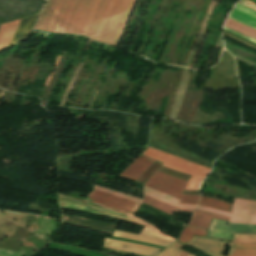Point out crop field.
<instances>
[{"label": "crop field", "instance_id": "obj_19", "mask_svg": "<svg viewBox=\"0 0 256 256\" xmlns=\"http://www.w3.org/2000/svg\"><path fill=\"white\" fill-rule=\"evenodd\" d=\"M199 205L201 206H206V207H210V208H215V209H219V210H224V211H228L230 210V203H226V202H222V201H218V200H214V199H210V198H206V197H202L200 198V203Z\"/></svg>", "mask_w": 256, "mask_h": 256}, {"label": "crop field", "instance_id": "obj_25", "mask_svg": "<svg viewBox=\"0 0 256 256\" xmlns=\"http://www.w3.org/2000/svg\"><path fill=\"white\" fill-rule=\"evenodd\" d=\"M239 2L256 10V4L248 0H240Z\"/></svg>", "mask_w": 256, "mask_h": 256}, {"label": "crop field", "instance_id": "obj_12", "mask_svg": "<svg viewBox=\"0 0 256 256\" xmlns=\"http://www.w3.org/2000/svg\"><path fill=\"white\" fill-rule=\"evenodd\" d=\"M212 218L228 221V217L195 210V212L192 214V220L190 221L189 225L207 229Z\"/></svg>", "mask_w": 256, "mask_h": 256}, {"label": "crop field", "instance_id": "obj_10", "mask_svg": "<svg viewBox=\"0 0 256 256\" xmlns=\"http://www.w3.org/2000/svg\"><path fill=\"white\" fill-rule=\"evenodd\" d=\"M154 162L155 160L140 155L122 174H120V176L136 181Z\"/></svg>", "mask_w": 256, "mask_h": 256}, {"label": "crop field", "instance_id": "obj_5", "mask_svg": "<svg viewBox=\"0 0 256 256\" xmlns=\"http://www.w3.org/2000/svg\"><path fill=\"white\" fill-rule=\"evenodd\" d=\"M45 0H0V23L39 12Z\"/></svg>", "mask_w": 256, "mask_h": 256}, {"label": "crop field", "instance_id": "obj_17", "mask_svg": "<svg viewBox=\"0 0 256 256\" xmlns=\"http://www.w3.org/2000/svg\"><path fill=\"white\" fill-rule=\"evenodd\" d=\"M143 202L148 204V205H151L155 208H158V209H160V210H162V211H164V212H166L170 215L173 212H185V213H191L192 212V210H190V209L176 210V209H174V208H172V207H170V206H168V205H166V204H164L160 201H157V200L152 199L150 197H147L145 195L143 197Z\"/></svg>", "mask_w": 256, "mask_h": 256}, {"label": "crop field", "instance_id": "obj_11", "mask_svg": "<svg viewBox=\"0 0 256 256\" xmlns=\"http://www.w3.org/2000/svg\"><path fill=\"white\" fill-rule=\"evenodd\" d=\"M39 14L23 18L19 24L11 45L28 38ZM10 45V46H11Z\"/></svg>", "mask_w": 256, "mask_h": 256}, {"label": "crop field", "instance_id": "obj_9", "mask_svg": "<svg viewBox=\"0 0 256 256\" xmlns=\"http://www.w3.org/2000/svg\"><path fill=\"white\" fill-rule=\"evenodd\" d=\"M103 246L131 251L139 254L155 256L161 250L135 243L105 238Z\"/></svg>", "mask_w": 256, "mask_h": 256}, {"label": "crop field", "instance_id": "obj_7", "mask_svg": "<svg viewBox=\"0 0 256 256\" xmlns=\"http://www.w3.org/2000/svg\"><path fill=\"white\" fill-rule=\"evenodd\" d=\"M86 199L108 205L132 214H134V212L140 205V203L133 202L95 189L87 196Z\"/></svg>", "mask_w": 256, "mask_h": 256}, {"label": "crop field", "instance_id": "obj_18", "mask_svg": "<svg viewBox=\"0 0 256 256\" xmlns=\"http://www.w3.org/2000/svg\"><path fill=\"white\" fill-rule=\"evenodd\" d=\"M229 18L256 29V18L246 15L235 9L232 10V12L229 15Z\"/></svg>", "mask_w": 256, "mask_h": 256}, {"label": "crop field", "instance_id": "obj_15", "mask_svg": "<svg viewBox=\"0 0 256 256\" xmlns=\"http://www.w3.org/2000/svg\"><path fill=\"white\" fill-rule=\"evenodd\" d=\"M227 256H256V244H232Z\"/></svg>", "mask_w": 256, "mask_h": 256}, {"label": "crop field", "instance_id": "obj_2", "mask_svg": "<svg viewBox=\"0 0 256 256\" xmlns=\"http://www.w3.org/2000/svg\"><path fill=\"white\" fill-rule=\"evenodd\" d=\"M58 196H59L61 207L91 211V212L119 218L122 220H126L129 222L137 223L140 225H144L146 227H144L142 229V231L140 232L141 234H145V235H149V236H153V237H157V238H161V239H166V240H170V241L175 240V239L161 233L160 232L161 229L155 227L154 225H152L148 222H145L143 220L133 217L132 214H129V213L117 210V209H113L110 207L102 206V205H99V204H96V203H93V202H90L87 200L82 201V200L70 198L67 196L59 195V194H58ZM113 236L124 238V239L142 241V242L155 244V245H159V246H163V247H166L169 243H171L170 241L152 238V237H148V236H144V235H140V234H136V233H132V232H127V231H122V230H118V229L115 230Z\"/></svg>", "mask_w": 256, "mask_h": 256}, {"label": "crop field", "instance_id": "obj_6", "mask_svg": "<svg viewBox=\"0 0 256 256\" xmlns=\"http://www.w3.org/2000/svg\"><path fill=\"white\" fill-rule=\"evenodd\" d=\"M198 210L229 216V222L256 224V201L235 199L231 213L198 206Z\"/></svg>", "mask_w": 256, "mask_h": 256}, {"label": "crop field", "instance_id": "obj_28", "mask_svg": "<svg viewBox=\"0 0 256 256\" xmlns=\"http://www.w3.org/2000/svg\"><path fill=\"white\" fill-rule=\"evenodd\" d=\"M188 256H194V255H192V254H190V253H189V255H188Z\"/></svg>", "mask_w": 256, "mask_h": 256}, {"label": "crop field", "instance_id": "obj_27", "mask_svg": "<svg viewBox=\"0 0 256 256\" xmlns=\"http://www.w3.org/2000/svg\"><path fill=\"white\" fill-rule=\"evenodd\" d=\"M187 255H188V252L182 250L178 256H187Z\"/></svg>", "mask_w": 256, "mask_h": 256}, {"label": "crop field", "instance_id": "obj_16", "mask_svg": "<svg viewBox=\"0 0 256 256\" xmlns=\"http://www.w3.org/2000/svg\"><path fill=\"white\" fill-rule=\"evenodd\" d=\"M224 26L256 40V30L255 29L247 27V26L240 24L236 21H233L229 18L227 19Z\"/></svg>", "mask_w": 256, "mask_h": 256}, {"label": "crop field", "instance_id": "obj_4", "mask_svg": "<svg viewBox=\"0 0 256 256\" xmlns=\"http://www.w3.org/2000/svg\"><path fill=\"white\" fill-rule=\"evenodd\" d=\"M186 183V181L155 171L145 186L180 198V203L197 204L199 196L182 195Z\"/></svg>", "mask_w": 256, "mask_h": 256}, {"label": "crop field", "instance_id": "obj_24", "mask_svg": "<svg viewBox=\"0 0 256 256\" xmlns=\"http://www.w3.org/2000/svg\"><path fill=\"white\" fill-rule=\"evenodd\" d=\"M235 9H237V10H239V11H242V12H244V13H247V14H249V15H251V16L256 17V12H254V11H252V10H250V9H248V8H246V7H244V6H241V5H239V4H237V5L235 6Z\"/></svg>", "mask_w": 256, "mask_h": 256}, {"label": "crop field", "instance_id": "obj_22", "mask_svg": "<svg viewBox=\"0 0 256 256\" xmlns=\"http://www.w3.org/2000/svg\"><path fill=\"white\" fill-rule=\"evenodd\" d=\"M94 188L142 203L141 198H138V197H135V196H132V195H128V194H125V193H121V192H118V191H115V190H111V189H107V188H103V187H99V186H95V185H94Z\"/></svg>", "mask_w": 256, "mask_h": 256}, {"label": "crop field", "instance_id": "obj_26", "mask_svg": "<svg viewBox=\"0 0 256 256\" xmlns=\"http://www.w3.org/2000/svg\"><path fill=\"white\" fill-rule=\"evenodd\" d=\"M224 29H226V30H228V31H230V32H232V33H235V34H237V35H239V36H241V37H243V38H246V39H248V40L253 41V42L256 43V41H254V40H252V39H250V38H248V37H245V36H243V35H241V34H238V33L234 32V31H232V30H229V29H227V28H225V27H224Z\"/></svg>", "mask_w": 256, "mask_h": 256}, {"label": "crop field", "instance_id": "obj_8", "mask_svg": "<svg viewBox=\"0 0 256 256\" xmlns=\"http://www.w3.org/2000/svg\"><path fill=\"white\" fill-rule=\"evenodd\" d=\"M229 242L212 240L194 236L188 245L208 254L209 256H224Z\"/></svg>", "mask_w": 256, "mask_h": 256}, {"label": "crop field", "instance_id": "obj_23", "mask_svg": "<svg viewBox=\"0 0 256 256\" xmlns=\"http://www.w3.org/2000/svg\"><path fill=\"white\" fill-rule=\"evenodd\" d=\"M232 243H256V235L235 234Z\"/></svg>", "mask_w": 256, "mask_h": 256}, {"label": "crop field", "instance_id": "obj_21", "mask_svg": "<svg viewBox=\"0 0 256 256\" xmlns=\"http://www.w3.org/2000/svg\"><path fill=\"white\" fill-rule=\"evenodd\" d=\"M183 246L173 242L168 248L164 249L159 256H177Z\"/></svg>", "mask_w": 256, "mask_h": 256}, {"label": "crop field", "instance_id": "obj_20", "mask_svg": "<svg viewBox=\"0 0 256 256\" xmlns=\"http://www.w3.org/2000/svg\"><path fill=\"white\" fill-rule=\"evenodd\" d=\"M206 231L205 230H201V229H197V228H193V227H189L186 226V228L184 229L181 237L176 240L184 245L187 244V242L190 240V238L196 234V235H200V236H205Z\"/></svg>", "mask_w": 256, "mask_h": 256}, {"label": "crop field", "instance_id": "obj_1", "mask_svg": "<svg viewBox=\"0 0 256 256\" xmlns=\"http://www.w3.org/2000/svg\"><path fill=\"white\" fill-rule=\"evenodd\" d=\"M135 0H47L36 30L83 34L115 45Z\"/></svg>", "mask_w": 256, "mask_h": 256}, {"label": "crop field", "instance_id": "obj_3", "mask_svg": "<svg viewBox=\"0 0 256 256\" xmlns=\"http://www.w3.org/2000/svg\"><path fill=\"white\" fill-rule=\"evenodd\" d=\"M144 155L164 163L163 166L192 175L185 189L198 190L202 179L210 171V168L205 166L160 152L149 147L145 151Z\"/></svg>", "mask_w": 256, "mask_h": 256}, {"label": "crop field", "instance_id": "obj_14", "mask_svg": "<svg viewBox=\"0 0 256 256\" xmlns=\"http://www.w3.org/2000/svg\"><path fill=\"white\" fill-rule=\"evenodd\" d=\"M20 20L2 24L0 26V49L10 44Z\"/></svg>", "mask_w": 256, "mask_h": 256}, {"label": "crop field", "instance_id": "obj_13", "mask_svg": "<svg viewBox=\"0 0 256 256\" xmlns=\"http://www.w3.org/2000/svg\"><path fill=\"white\" fill-rule=\"evenodd\" d=\"M144 194L147 196H150L152 198H155L157 200H160L166 204H169L177 209H183V208H192L195 209L196 205H188V204H179V200L174 199L172 197H169L167 195H164L162 193H159L157 191H154L150 188H147L144 186Z\"/></svg>", "mask_w": 256, "mask_h": 256}]
</instances>
